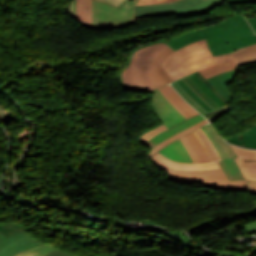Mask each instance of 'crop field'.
Listing matches in <instances>:
<instances>
[{"label":"crop field","mask_w":256,"mask_h":256,"mask_svg":"<svg viewBox=\"0 0 256 256\" xmlns=\"http://www.w3.org/2000/svg\"><path fill=\"white\" fill-rule=\"evenodd\" d=\"M203 0H179L176 2L166 3V4H158V5H141L135 6L136 13L142 12H153V11H162L180 8L184 6L194 5Z\"/></svg>","instance_id":"obj_19"},{"label":"crop field","mask_w":256,"mask_h":256,"mask_svg":"<svg viewBox=\"0 0 256 256\" xmlns=\"http://www.w3.org/2000/svg\"><path fill=\"white\" fill-rule=\"evenodd\" d=\"M250 194H256V182H249Z\"/></svg>","instance_id":"obj_31"},{"label":"crop field","mask_w":256,"mask_h":256,"mask_svg":"<svg viewBox=\"0 0 256 256\" xmlns=\"http://www.w3.org/2000/svg\"><path fill=\"white\" fill-rule=\"evenodd\" d=\"M213 162L184 164L164 158L159 153L150 158L152 163L169 172L167 179L181 183H204V186L226 191H248L246 180L229 182L218 161L221 160L213 144L201 130L193 131Z\"/></svg>","instance_id":"obj_1"},{"label":"crop field","mask_w":256,"mask_h":256,"mask_svg":"<svg viewBox=\"0 0 256 256\" xmlns=\"http://www.w3.org/2000/svg\"><path fill=\"white\" fill-rule=\"evenodd\" d=\"M226 140L235 145L256 149V125Z\"/></svg>","instance_id":"obj_20"},{"label":"crop field","mask_w":256,"mask_h":256,"mask_svg":"<svg viewBox=\"0 0 256 256\" xmlns=\"http://www.w3.org/2000/svg\"><path fill=\"white\" fill-rule=\"evenodd\" d=\"M48 256H73V255H70V254H68L66 252L58 250V251H56V252H54V253H52V254H50Z\"/></svg>","instance_id":"obj_30"},{"label":"crop field","mask_w":256,"mask_h":256,"mask_svg":"<svg viewBox=\"0 0 256 256\" xmlns=\"http://www.w3.org/2000/svg\"><path fill=\"white\" fill-rule=\"evenodd\" d=\"M139 0H128L120 8L93 1L92 28L105 29L135 23L134 6Z\"/></svg>","instance_id":"obj_4"},{"label":"crop field","mask_w":256,"mask_h":256,"mask_svg":"<svg viewBox=\"0 0 256 256\" xmlns=\"http://www.w3.org/2000/svg\"><path fill=\"white\" fill-rule=\"evenodd\" d=\"M231 59L237 66L256 62V44L213 57L204 39L173 52L161 65L176 81L202 68Z\"/></svg>","instance_id":"obj_3"},{"label":"crop field","mask_w":256,"mask_h":256,"mask_svg":"<svg viewBox=\"0 0 256 256\" xmlns=\"http://www.w3.org/2000/svg\"><path fill=\"white\" fill-rule=\"evenodd\" d=\"M70 15L91 28L92 4L91 0H72Z\"/></svg>","instance_id":"obj_14"},{"label":"crop field","mask_w":256,"mask_h":256,"mask_svg":"<svg viewBox=\"0 0 256 256\" xmlns=\"http://www.w3.org/2000/svg\"><path fill=\"white\" fill-rule=\"evenodd\" d=\"M6 239L8 238L0 232V243Z\"/></svg>","instance_id":"obj_33"},{"label":"crop field","mask_w":256,"mask_h":256,"mask_svg":"<svg viewBox=\"0 0 256 256\" xmlns=\"http://www.w3.org/2000/svg\"><path fill=\"white\" fill-rule=\"evenodd\" d=\"M172 85L202 115L219 108L189 76L173 82Z\"/></svg>","instance_id":"obj_8"},{"label":"crop field","mask_w":256,"mask_h":256,"mask_svg":"<svg viewBox=\"0 0 256 256\" xmlns=\"http://www.w3.org/2000/svg\"><path fill=\"white\" fill-rule=\"evenodd\" d=\"M205 118L202 117L201 115L199 116H195V117H192L190 119H188L187 121L171 128V129H168L166 131H163L159 134H157L155 137H153L152 139L148 140L145 145H148L149 148L153 149L154 147H156L159 143H161L163 140L187 129L188 127L204 120Z\"/></svg>","instance_id":"obj_13"},{"label":"crop field","mask_w":256,"mask_h":256,"mask_svg":"<svg viewBox=\"0 0 256 256\" xmlns=\"http://www.w3.org/2000/svg\"><path fill=\"white\" fill-rule=\"evenodd\" d=\"M159 153L177 162L192 163L186 149L181 144L179 139L167 145Z\"/></svg>","instance_id":"obj_16"},{"label":"crop field","mask_w":256,"mask_h":256,"mask_svg":"<svg viewBox=\"0 0 256 256\" xmlns=\"http://www.w3.org/2000/svg\"><path fill=\"white\" fill-rule=\"evenodd\" d=\"M230 3L256 2V0H228Z\"/></svg>","instance_id":"obj_32"},{"label":"crop field","mask_w":256,"mask_h":256,"mask_svg":"<svg viewBox=\"0 0 256 256\" xmlns=\"http://www.w3.org/2000/svg\"><path fill=\"white\" fill-rule=\"evenodd\" d=\"M26 230L17 222L0 224V231L10 238L0 244V256H13L27 248L44 244L27 234Z\"/></svg>","instance_id":"obj_6"},{"label":"crop field","mask_w":256,"mask_h":256,"mask_svg":"<svg viewBox=\"0 0 256 256\" xmlns=\"http://www.w3.org/2000/svg\"><path fill=\"white\" fill-rule=\"evenodd\" d=\"M251 26L254 29L255 33H256V23L251 24Z\"/></svg>","instance_id":"obj_35"},{"label":"crop field","mask_w":256,"mask_h":256,"mask_svg":"<svg viewBox=\"0 0 256 256\" xmlns=\"http://www.w3.org/2000/svg\"><path fill=\"white\" fill-rule=\"evenodd\" d=\"M150 102L154 115L168 128L186 119L166 100L159 89Z\"/></svg>","instance_id":"obj_9"},{"label":"crop field","mask_w":256,"mask_h":256,"mask_svg":"<svg viewBox=\"0 0 256 256\" xmlns=\"http://www.w3.org/2000/svg\"><path fill=\"white\" fill-rule=\"evenodd\" d=\"M160 91L186 118L198 114L170 85L160 88Z\"/></svg>","instance_id":"obj_12"},{"label":"crop field","mask_w":256,"mask_h":256,"mask_svg":"<svg viewBox=\"0 0 256 256\" xmlns=\"http://www.w3.org/2000/svg\"><path fill=\"white\" fill-rule=\"evenodd\" d=\"M165 129H168L167 127H165L163 124L148 131L147 133L143 134L142 137H140V142L142 144H144L148 139L152 138L154 135H156L157 133L165 130Z\"/></svg>","instance_id":"obj_26"},{"label":"crop field","mask_w":256,"mask_h":256,"mask_svg":"<svg viewBox=\"0 0 256 256\" xmlns=\"http://www.w3.org/2000/svg\"><path fill=\"white\" fill-rule=\"evenodd\" d=\"M243 24H247V22L241 16V14L235 15L233 17L227 18L226 20H224L223 22H221L217 25H213V26L207 27L203 30H196V31H193V32H189V33L174 37V38L168 40V43L171 44V43H173V42H175V41H177L181 38L191 36V35H194V34L211 31V30L218 29V28L224 30V29L232 28V27H235V26L243 25Z\"/></svg>","instance_id":"obj_15"},{"label":"crop field","mask_w":256,"mask_h":256,"mask_svg":"<svg viewBox=\"0 0 256 256\" xmlns=\"http://www.w3.org/2000/svg\"><path fill=\"white\" fill-rule=\"evenodd\" d=\"M225 40H231L245 35L253 34L249 24L222 31Z\"/></svg>","instance_id":"obj_22"},{"label":"crop field","mask_w":256,"mask_h":256,"mask_svg":"<svg viewBox=\"0 0 256 256\" xmlns=\"http://www.w3.org/2000/svg\"><path fill=\"white\" fill-rule=\"evenodd\" d=\"M238 157L235 158L245 178L256 181V150H247L232 146Z\"/></svg>","instance_id":"obj_11"},{"label":"crop field","mask_w":256,"mask_h":256,"mask_svg":"<svg viewBox=\"0 0 256 256\" xmlns=\"http://www.w3.org/2000/svg\"><path fill=\"white\" fill-rule=\"evenodd\" d=\"M99 1L119 7L123 3L124 0H99Z\"/></svg>","instance_id":"obj_29"},{"label":"crop field","mask_w":256,"mask_h":256,"mask_svg":"<svg viewBox=\"0 0 256 256\" xmlns=\"http://www.w3.org/2000/svg\"><path fill=\"white\" fill-rule=\"evenodd\" d=\"M249 23H253V22H256V17L255 18H247Z\"/></svg>","instance_id":"obj_34"},{"label":"crop field","mask_w":256,"mask_h":256,"mask_svg":"<svg viewBox=\"0 0 256 256\" xmlns=\"http://www.w3.org/2000/svg\"><path fill=\"white\" fill-rule=\"evenodd\" d=\"M179 139H180V141L183 143V145L185 146V148L187 149V151H188L190 157L192 158L193 162H194V163L199 162V160H198V158H197L195 152L193 151V149H192L190 143H189L188 140L185 138V136H183V137H181V138H179Z\"/></svg>","instance_id":"obj_27"},{"label":"crop field","mask_w":256,"mask_h":256,"mask_svg":"<svg viewBox=\"0 0 256 256\" xmlns=\"http://www.w3.org/2000/svg\"><path fill=\"white\" fill-rule=\"evenodd\" d=\"M173 51L165 41L146 44L133 50L128 57L129 63L119 72L121 86L128 90L146 92L172 82L160 64Z\"/></svg>","instance_id":"obj_2"},{"label":"crop field","mask_w":256,"mask_h":256,"mask_svg":"<svg viewBox=\"0 0 256 256\" xmlns=\"http://www.w3.org/2000/svg\"><path fill=\"white\" fill-rule=\"evenodd\" d=\"M200 87L201 89L212 98L219 106L228 102V100L222 96L212 84L201 76L198 72L189 75Z\"/></svg>","instance_id":"obj_18"},{"label":"crop field","mask_w":256,"mask_h":256,"mask_svg":"<svg viewBox=\"0 0 256 256\" xmlns=\"http://www.w3.org/2000/svg\"><path fill=\"white\" fill-rule=\"evenodd\" d=\"M232 69H237L233 60L228 61L226 63L217 64L214 66L207 67L198 72L207 79L213 75H216V74L228 71V70H232Z\"/></svg>","instance_id":"obj_21"},{"label":"crop field","mask_w":256,"mask_h":256,"mask_svg":"<svg viewBox=\"0 0 256 256\" xmlns=\"http://www.w3.org/2000/svg\"><path fill=\"white\" fill-rule=\"evenodd\" d=\"M222 1L223 0H205V1H203L197 5H194V6H189V7H184V8L169 10V11H162V12L136 14V17L173 15V14H176L177 17H184V16L202 14V13H205V12L213 9L215 6H217Z\"/></svg>","instance_id":"obj_10"},{"label":"crop field","mask_w":256,"mask_h":256,"mask_svg":"<svg viewBox=\"0 0 256 256\" xmlns=\"http://www.w3.org/2000/svg\"><path fill=\"white\" fill-rule=\"evenodd\" d=\"M57 250L50 244H44L34 248L27 249L15 256H45L53 251Z\"/></svg>","instance_id":"obj_23"},{"label":"crop field","mask_w":256,"mask_h":256,"mask_svg":"<svg viewBox=\"0 0 256 256\" xmlns=\"http://www.w3.org/2000/svg\"><path fill=\"white\" fill-rule=\"evenodd\" d=\"M205 123H207L206 120H204V121H202V122H200V123H198V124H196V125H194V126L188 128L187 130H185V131H183V132H181V133H179V134H177V135H175V136H173V137H171V138H169V139L163 141V142H162L161 144H159L156 148H154L153 150H151L150 155L155 154L157 151H159L160 149H162L164 146H166L167 144H169V143L172 142L173 140H175V139H177V138L183 136L184 134H186V133H188V132H190V131H192V130L198 128L199 126H201V125H203V124H205Z\"/></svg>","instance_id":"obj_25"},{"label":"crop field","mask_w":256,"mask_h":256,"mask_svg":"<svg viewBox=\"0 0 256 256\" xmlns=\"http://www.w3.org/2000/svg\"><path fill=\"white\" fill-rule=\"evenodd\" d=\"M211 142L214 144L216 150L222 157L223 161L220 162L224 172L226 173L229 181L245 179L239 166L235 162L234 158L236 154L231 149L228 143H226L219 134L213 129L210 124L201 127Z\"/></svg>","instance_id":"obj_7"},{"label":"crop field","mask_w":256,"mask_h":256,"mask_svg":"<svg viewBox=\"0 0 256 256\" xmlns=\"http://www.w3.org/2000/svg\"><path fill=\"white\" fill-rule=\"evenodd\" d=\"M175 0H140V2L137 5L141 4H157V3H165V2H171Z\"/></svg>","instance_id":"obj_28"},{"label":"crop field","mask_w":256,"mask_h":256,"mask_svg":"<svg viewBox=\"0 0 256 256\" xmlns=\"http://www.w3.org/2000/svg\"><path fill=\"white\" fill-rule=\"evenodd\" d=\"M186 138L189 140V142L191 143L193 149L195 150L198 158L200 159L201 162H208L211 161V159L208 157V155L206 154L203 146L201 145V143L198 141V139L196 138V136L193 134V132L185 135Z\"/></svg>","instance_id":"obj_24"},{"label":"crop field","mask_w":256,"mask_h":256,"mask_svg":"<svg viewBox=\"0 0 256 256\" xmlns=\"http://www.w3.org/2000/svg\"><path fill=\"white\" fill-rule=\"evenodd\" d=\"M204 38H206L209 49L213 56L217 54L230 53V51L256 43L255 34L225 42L221 30L218 29L184 38L174 44H171V46L176 50L186 44L193 41L202 40Z\"/></svg>","instance_id":"obj_5"},{"label":"crop field","mask_w":256,"mask_h":256,"mask_svg":"<svg viewBox=\"0 0 256 256\" xmlns=\"http://www.w3.org/2000/svg\"><path fill=\"white\" fill-rule=\"evenodd\" d=\"M236 71H238V69L225 72L208 79L213 84V86L229 101L232 99L233 96L230 90L227 88V84L232 83L234 81Z\"/></svg>","instance_id":"obj_17"}]
</instances>
